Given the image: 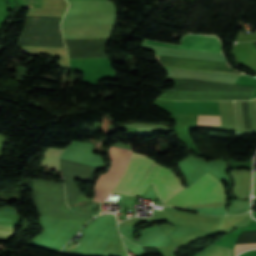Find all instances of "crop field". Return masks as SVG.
<instances>
[{
    "mask_svg": "<svg viewBox=\"0 0 256 256\" xmlns=\"http://www.w3.org/2000/svg\"><path fill=\"white\" fill-rule=\"evenodd\" d=\"M225 201V189L208 172L183 191L171 197L165 205L184 209L187 205Z\"/></svg>",
    "mask_w": 256,
    "mask_h": 256,
    "instance_id": "crop-field-1",
    "label": "crop field"
},
{
    "mask_svg": "<svg viewBox=\"0 0 256 256\" xmlns=\"http://www.w3.org/2000/svg\"><path fill=\"white\" fill-rule=\"evenodd\" d=\"M178 179L171 170L154 161L131 196L144 194L151 183L162 205H164L171 196L184 188Z\"/></svg>",
    "mask_w": 256,
    "mask_h": 256,
    "instance_id": "crop-field-2",
    "label": "crop field"
},
{
    "mask_svg": "<svg viewBox=\"0 0 256 256\" xmlns=\"http://www.w3.org/2000/svg\"><path fill=\"white\" fill-rule=\"evenodd\" d=\"M130 152L128 149L109 147L110 169L98 177L92 200L101 202L109 195L125 169Z\"/></svg>",
    "mask_w": 256,
    "mask_h": 256,
    "instance_id": "crop-field-3",
    "label": "crop field"
},
{
    "mask_svg": "<svg viewBox=\"0 0 256 256\" xmlns=\"http://www.w3.org/2000/svg\"><path fill=\"white\" fill-rule=\"evenodd\" d=\"M152 161L146 156L133 154L121 181L119 180L120 182L113 192L130 196Z\"/></svg>",
    "mask_w": 256,
    "mask_h": 256,
    "instance_id": "crop-field-4",
    "label": "crop field"
},
{
    "mask_svg": "<svg viewBox=\"0 0 256 256\" xmlns=\"http://www.w3.org/2000/svg\"><path fill=\"white\" fill-rule=\"evenodd\" d=\"M143 42L183 49H193L221 53L220 41L218 38L213 36L186 35L183 36L182 39L180 40L179 46L154 42L147 39H145Z\"/></svg>",
    "mask_w": 256,
    "mask_h": 256,
    "instance_id": "crop-field-5",
    "label": "crop field"
},
{
    "mask_svg": "<svg viewBox=\"0 0 256 256\" xmlns=\"http://www.w3.org/2000/svg\"><path fill=\"white\" fill-rule=\"evenodd\" d=\"M115 12L66 13L62 24L115 23Z\"/></svg>",
    "mask_w": 256,
    "mask_h": 256,
    "instance_id": "crop-field-6",
    "label": "crop field"
},
{
    "mask_svg": "<svg viewBox=\"0 0 256 256\" xmlns=\"http://www.w3.org/2000/svg\"><path fill=\"white\" fill-rule=\"evenodd\" d=\"M63 149L48 148L45 152L40 167L58 170V157Z\"/></svg>",
    "mask_w": 256,
    "mask_h": 256,
    "instance_id": "crop-field-7",
    "label": "crop field"
},
{
    "mask_svg": "<svg viewBox=\"0 0 256 256\" xmlns=\"http://www.w3.org/2000/svg\"><path fill=\"white\" fill-rule=\"evenodd\" d=\"M232 251L233 250H231V249L212 245V246L204 249L203 251L197 253L196 255H200V256H232Z\"/></svg>",
    "mask_w": 256,
    "mask_h": 256,
    "instance_id": "crop-field-8",
    "label": "crop field"
},
{
    "mask_svg": "<svg viewBox=\"0 0 256 256\" xmlns=\"http://www.w3.org/2000/svg\"><path fill=\"white\" fill-rule=\"evenodd\" d=\"M197 124L221 125L219 116L198 115Z\"/></svg>",
    "mask_w": 256,
    "mask_h": 256,
    "instance_id": "crop-field-9",
    "label": "crop field"
},
{
    "mask_svg": "<svg viewBox=\"0 0 256 256\" xmlns=\"http://www.w3.org/2000/svg\"><path fill=\"white\" fill-rule=\"evenodd\" d=\"M256 248V244H236L233 252V256H236L239 252L246 250Z\"/></svg>",
    "mask_w": 256,
    "mask_h": 256,
    "instance_id": "crop-field-10",
    "label": "crop field"
},
{
    "mask_svg": "<svg viewBox=\"0 0 256 256\" xmlns=\"http://www.w3.org/2000/svg\"><path fill=\"white\" fill-rule=\"evenodd\" d=\"M15 227L0 225V235L12 237Z\"/></svg>",
    "mask_w": 256,
    "mask_h": 256,
    "instance_id": "crop-field-11",
    "label": "crop field"
}]
</instances>
